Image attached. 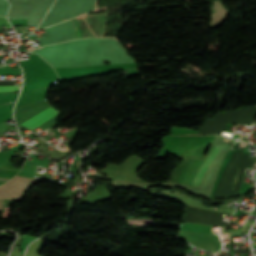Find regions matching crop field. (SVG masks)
<instances>
[{
	"label": "crop field",
	"instance_id": "crop-field-1",
	"mask_svg": "<svg viewBox=\"0 0 256 256\" xmlns=\"http://www.w3.org/2000/svg\"><path fill=\"white\" fill-rule=\"evenodd\" d=\"M57 112H59V111H57L55 108L50 106L47 109L40 112L39 114L30 118L29 120L23 122L21 125L32 130L35 127H37L38 125H40L42 122H44L45 120H47L48 118H50L51 116L56 114Z\"/></svg>",
	"mask_w": 256,
	"mask_h": 256
},
{
	"label": "crop field",
	"instance_id": "crop-field-3",
	"mask_svg": "<svg viewBox=\"0 0 256 256\" xmlns=\"http://www.w3.org/2000/svg\"><path fill=\"white\" fill-rule=\"evenodd\" d=\"M21 86H0V91L19 90Z\"/></svg>",
	"mask_w": 256,
	"mask_h": 256
},
{
	"label": "crop field",
	"instance_id": "crop-field-2",
	"mask_svg": "<svg viewBox=\"0 0 256 256\" xmlns=\"http://www.w3.org/2000/svg\"><path fill=\"white\" fill-rule=\"evenodd\" d=\"M221 150L220 147H216L214 146V148L212 149L211 153L209 154V156L207 157V159L205 160V162L203 163V165L201 166V168L199 169L193 183L192 186H200V183L205 175V173L207 172L208 168L210 167L213 159L216 157V155L218 154V152Z\"/></svg>",
	"mask_w": 256,
	"mask_h": 256
}]
</instances>
